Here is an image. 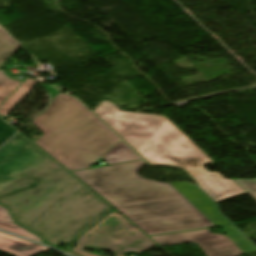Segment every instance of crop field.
I'll return each instance as SVG.
<instances>
[{"instance_id":"1","label":"crop field","mask_w":256,"mask_h":256,"mask_svg":"<svg viewBox=\"0 0 256 256\" xmlns=\"http://www.w3.org/2000/svg\"><path fill=\"white\" fill-rule=\"evenodd\" d=\"M0 204L55 246L112 210L20 132L0 149Z\"/></svg>"},{"instance_id":"2","label":"crop field","mask_w":256,"mask_h":256,"mask_svg":"<svg viewBox=\"0 0 256 256\" xmlns=\"http://www.w3.org/2000/svg\"><path fill=\"white\" fill-rule=\"evenodd\" d=\"M142 161L73 172L147 235L214 226L170 184L140 177Z\"/></svg>"},{"instance_id":"3","label":"crop field","mask_w":256,"mask_h":256,"mask_svg":"<svg viewBox=\"0 0 256 256\" xmlns=\"http://www.w3.org/2000/svg\"><path fill=\"white\" fill-rule=\"evenodd\" d=\"M92 111L149 164L184 168L215 202L247 193L205 170L213 162L165 116L122 112L107 100Z\"/></svg>"},{"instance_id":"4","label":"crop field","mask_w":256,"mask_h":256,"mask_svg":"<svg viewBox=\"0 0 256 256\" xmlns=\"http://www.w3.org/2000/svg\"><path fill=\"white\" fill-rule=\"evenodd\" d=\"M31 122L44 133L34 143L69 170L89 167L119 140L65 94L54 97Z\"/></svg>"},{"instance_id":"5","label":"crop field","mask_w":256,"mask_h":256,"mask_svg":"<svg viewBox=\"0 0 256 256\" xmlns=\"http://www.w3.org/2000/svg\"><path fill=\"white\" fill-rule=\"evenodd\" d=\"M86 245L123 256L126 251L140 254L157 244L114 210L80 236L72 251L82 256H96L81 250Z\"/></svg>"},{"instance_id":"6","label":"crop field","mask_w":256,"mask_h":256,"mask_svg":"<svg viewBox=\"0 0 256 256\" xmlns=\"http://www.w3.org/2000/svg\"><path fill=\"white\" fill-rule=\"evenodd\" d=\"M151 238L161 246L196 241L207 256H238L244 253L226 236L210 233L208 229L172 233Z\"/></svg>"},{"instance_id":"7","label":"crop field","mask_w":256,"mask_h":256,"mask_svg":"<svg viewBox=\"0 0 256 256\" xmlns=\"http://www.w3.org/2000/svg\"><path fill=\"white\" fill-rule=\"evenodd\" d=\"M170 184L188 201H190L202 214H204L215 226L228 223L216 212L214 203H212L196 186L187 182H175Z\"/></svg>"},{"instance_id":"8","label":"crop field","mask_w":256,"mask_h":256,"mask_svg":"<svg viewBox=\"0 0 256 256\" xmlns=\"http://www.w3.org/2000/svg\"><path fill=\"white\" fill-rule=\"evenodd\" d=\"M50 249L0 232V251L14 256H35Z\"/></svg>"},{"instance_id":"9","label":"crop field","mask_w":256,"mask_h":256,"mask_svg":"<svg viewBox=\"0 0 256 256\" xmlns=\"http://www.w3.org/2000/svg\"><path fill=\"white\" fill-rule=\"evenodd\" d=\"M108 164L132 161L140 159L132 150L126 147L121 141L109 150L103 157Z\"/></svg>"},{"instance_id":"10","label":"crop field","mask_w":256,"mask_h":256,"mask_svg":"<svg viewBox=\"0 0 256 256\" xmlns=\"http://www.w3.org/2000/svg\"><path fill=\"white\" fill-rule=\"evenodd\" d=\"M0 229L41 242L39 238L27 230L15 225L7 211V209L0 206ZM43 243V242H41Z\"/></svg>"},{"instance_id":"11","label":"crop field","mask_w":256,"mask_h":256,"mask_svg":"<svg viewBox=\"0 0 256 256\" xmlns=\"http://www.w3.org/2000/svg\"><path fill=\"white\" fill-rule=\"evenodd\" d=\"M36 82L35 80L26 79L11 97L0 106V115L4 117Z\"/></svg>"},{"instance_id":"12","label":"crop field","mask_w":256,"mask_h":256,"mask_svg":"<svg viewBox=\"0 0 256 256\" xmlns=\"http://www.w3.org/2000/svg\"><path fill=\"white\" fill-rule=\"evenodd\" d=\"M221 228H223V232L228 234L227 237L230 238L245 253L256 251V248L231 224L221 226Z\"/></svg>"},{"instance_id":"13","label":"crop field","mask_w":256,"mask_h":256,"mask_svg":"<svg viewBox=\"0 0 256 256\" xmlns=\"http://www.w3.org/2000/svg\"><path fill=\"white\" fill-rule=\"evenodd\" d=\"M20 46L0 29V65L6 61Z\"/></svg>"},{"instance_id":"14","label":"crop field","mask_w":256,"mask_h":256,"mask_svg":"<svg viewBox=\"0 0 256 256\" xmlns=\"http://www.w3.org/2000/svg\"><path fill=\"white\" fill-rule=\"evenodd\" d=\"M19 84L9 79L0 69V104Z\"/></svg>"},{"instance_id":"15","label":"crop field","mask_w":256,"mask_h":256,"mask_svg":"<svg viewBox=\"0 0 256 256\" xmlns=\"http://www.w3.org/2000/svg\"><path fill=\"white\" fill-rule=\"evenodd\" d=\"M17 130L0 117V145L9 139Z\"/></svg>"},{"instance_id":"16","label":"crop field","mask_w":256,"mask_h":256,"mask_svg":"<svg viewBox=\"0 0 256 256\" xmlns=\"http://www.w3.org/2000/svg\"><path fill=\"white\" fill-rule=\"evenodd\" d=\"M244 190H246L256 200V179L253 180H234Z\"/></svg>"},{"instance_id":"17","label":"crop field","mask_w":256,"mask_h":256,"mask_svg":"<svg viewBox=\"0 0 256 256\" xmlns=\"http://www.w3.org/2000/svg\"><path fill=\"white\" fill-rule=\"evenodd\" d=\"M46 89L49 91V93L51 94V98L59 91H57L56 89L50 87V86H45Z\"/></svg>"},{"instance_id":"18","label":"crop field","mask_w":256,"mask_h":256,"mask_svg":"<svg viewBox=\"0 0 256 256\" xmlns=\"http://www.w3.org/2000/svg\"><path fill=\"white\" fill-rule=\"evenodd\" d=\"M56 249H60V248H56ZM60 250H62V249H60ZM62 251L66 252V253H68V254H70V255H72V256H77V255H75V254H73V253H71V252H69V251H65V250H62Z\"/></svg>"}]
</instances>
